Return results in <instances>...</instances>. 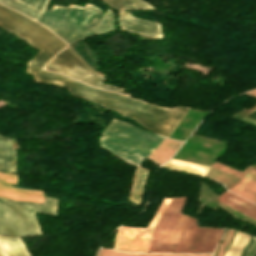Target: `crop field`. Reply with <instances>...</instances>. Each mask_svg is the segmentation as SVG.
Instances as JSON below:
<instances>
[{"instance_id": "obj_1", "label": "crop field", "mask_w": 256, "mask_h": 256, "mask_svg": "<svg viewBox=\"0 0 256 256\" xmlns=\"http://www.w3.org/2000/svg\"><path fill=\"white\" fill-rule=\"evenodd\" d=\"M34 75L35 82L51 83L71 89V94L81 96L100 105L113 109L123 116L134 118L145 128L168 137L187 108L165 109L110 92L101 91L74 79L35 68H27Z\"/></svg>"}, {"instance_id": "obj_2", "label": "crop field", "mask_w": 256, "mask_h": 256, "mask_svg": "<svg viewBox=\"0 0 256 256\" xmlns=\"http://www.w3.org/2000/svg\"><path fill=\"white\" fill-rule=\"evenodd\" d=\"M186 198L172 199L156 225L149 251L213 252L222 230L198 229L196 219L182 214Z\"/></svg>"}, {"instance_id": "obj_3", "label": "crop field", "mask_w": 256, "mask_h": 256, "mask_svg": "<svg viewBox=\"0 0 256 256\" xmlns=\"http://www.w3.org/2000/svg\"><path fill=\"white\" fill-rule=\"evenodd\" d=\"M102 14V10L88 3L85 7L54 5L51 11L46 9L45 14L38 22L70 44L79 37L82 40L93 33L106 34L113 30L114 16L111 10H108L101 18ZM97 22V25L88 30Z\"/></svg>"}, {"instance_id": "obj_4", "label": "crop field", "mask_w": 256, "mask_h": 256, "mask_svg": "<svg viewBox=\"0 0 256 256\" xmlns=\"http://www.w3.org/2000/svg\"><path fill=\"white\" fill-rule=\"evenodd\" d=\"M163 139L113 118L100 137V145L130 163L140 164Z\"/></svg>"}, {"instance_id": "obj_5", "label": "crop field", "mask_w": 256, "mask_h": 256, "mask_svg": "<svg viewBox=\"0 0 256 256\" xmlns=\"http://www.w3.org/2000/svg\"><path fill=\"white\" fill-rule=\"evenodd\" d=\"M0 27L12 30L24 37L34 47L41 51L27 63L30 66L42 68L66 44L41 25L0 5Z\"/></svg>"}, {"instance_id": "obj_6", "label": "crop field", "mask_w": 256, "mask_h": 256, "mask_svg": "<svg viewBox=\"0 0 256 256\" xmlns=\"http://www.w3.org/2000/svg\"><path fill=\"white\" fill-rule=\"evenodd\" d=\"M57 200L46 198L45 205L0 198V235L22 237L40 234L34 212L56 214Z\"/></svg>"}, {"instance_id": "obj_7", "label": "crop field", "mask_w": 256, "mask_h": 256, "mask_svg": "<svg viewBox=\"0 0 256 256\" xmlns=\"http://www.w3.org/2000/svg\"><path fill=\"white\" fill-rule=\"evenodd\" d=\"M44 69L52 70L78 79L84 83L92 86L121 93L123 88L116 86L102 84L105 77L94 73L91 68L69 47L60 51L46 66ZM128 96V95H127Z\"/></svg>"}, {"instance_id": "obj_8", "label": "crop field", "mask_w": 256, "mask_h": 256, "mask_svg": "<svg viewBox=\"0 0 256 256\" xmlns=\"http://www.w3.org/2000/svg\"><path fill=\"white\" fill-rule=\"evenodd\" d=\"M170 201V198H165L148 229L119 227L114 249L131 252H148L153 229Z\"/></svg>"}, {"instance_id": "obj_9", "label": "crop field", "mask_w": 256, "mask_h": 256, "mask_svg": "<svg viewBox=\"0 0 256 256\" xmlns=\"http://www.w3.org/2000/svg\"><path fill=\"white\" fill-rule=\"evenodd\" d=\"M114 8H120L119 25L128 31H134L160 38L159 25L134 19L123 9H151L140 0H104Z\"/></svg>"}, {"instance_id": "obj_10", "label": "crop field", "mask_w": 256, "mask_h": 256, "mask_svg": "<svg viewBox=\"0 0 256 256\" xmlns=\"http://www.w3.org/2000/svg\"><path fill=\"white\" fill-rule=\"evenodd\" d=\"M213 167L241 178L230 191L256 203V170L249 167L244 173L216 162Z\"/></svg>"}, {"instance_id": "obj_11", "label": "crop field", "mask_w": 256, "mask_h": 256, "mask_svg": "<svg viewBox=\"0 0 256 256\" xmlns=\"http://www.w3.org/2000/svg\"><path fill=\"white\" fill-rule=\"evenodd\" d=\"M18 175L4 174L0 172V197L42 203L44 200V192L17 189L10 187L17 185Z\"/></svg>"}, {"instance_id": "obj_12", "label": "crop field", "mask_w": 256, "mask_h": 256, "mask_svg": "<svg viewBox=\"0 0 256 256\" xmlns=\"http://www.w3.org/2000/svg\"><path fill=\"white\" fill-rule=\"evenodd\" d=\"M15 1H17L21 4H24L28 7H31L33 9L39 11V12H37V11L31 9V8H28L24 5H21L17 2H15ZM15 1H13V0H0V3L14 9V10H16V11H18V12L34 19V20H36V21L43 14V12H44V10H45L48 2H49V0H15Z\"/></svg>"}, {"instance_id": "obj_13", "label": "crop field", "mask_w": 256, "mask_h": 256, "mask_svg": "<svg viewBox=\"0 0 256 256\" xmlns=\"http://www.w3.org/2000/svg\"><path fill=\"white\" fill-rule=\"evenodd\" d=\"M182 143L165 138L147 158L161 165L173 156Z\"/></svg>"}, {"instance_id": "obj_14", "label": "crop field", "mask_w": 256, "mask_h": 256, "mask_svg": "<svg viewBox=\"0 0 256 256\" xmlns=\"http://www.w3.org/2000/svg\"><path fill=\"white\" fill-rule=\"evenodd\" d=\"M0 171L15 172L14 148L9 139L0 137Z\"/></svg>"}, {"instance_id": "obj_15", "label": "crop field", "mask_w": 256, "mask_h": 256, "mask_svg": "<svg viewBox=\"0 0 256 256\" xmlns=\"http://www.w3.org/2000/svg\"><path fill=\"white\" fill-rule=\"evenodd\" d=\"M219 201L256 219V206L245 200H242L227 192L220 196Z\"/></svg>"}, {"instance_id": "obj_16", "label": "crop field", "mask_w": 256, "mask_h": 256, "mask_svg": "<svg viewBox=\"0 0 256 256\" xmlns=\"http://www.w3.org/2000/svg\"><path fill=\"white\" fill-rule=\"evenodd\" d=\"M149 170L136 167L135 177L133 179L129 200L135 204H140L143 187Z\"/></svg>"}, {"instance_id": "obj_17", "label": "crop field", "mask_w": 256, "mask_h": 256, "mask_svg": "<svg viewBox=\"0 0 256 256\" xmlns=\"http://www.w3.org/2000/svg\"><path fill=\"white\" fill-rule=\"evenodd\" d=\"M0 244L7 256H29L20 238L0 236Z\"/></svg>"}, {"instance_id": "obj_18", "label": "crop field", "mask_w": 256, "mask_h": 256, "mask_svg": "<svg viewBox=\"0 0 256 256\" xmlns=\"http://www.w3.org/2000/svg\"><path fill=\"white\" fill-rule=\"evenodd\" d=\"M161 167L187 171V172L196 173L200 175H204L209 168L208 166L193 164V163L174 160V159H171L169 162H167Z\"/></svg>"}, {"instance_id": "obj_19", "label": "crop field", "mask_w": 256, "mask_h": 256, "mask_svg": "<svg viewBox=\"0 0 256 256\" xmlns=\"http://www.w3.org/2000/svg\"><path fill=\"white\" fill-rule=\"evenodd\" d=\"M249 239H250V236L239 232L237 237L236 238L234 237L230 247L228 248L224 256H240L242 250L248 243Z\"/></svg>"}, {"instance_id": "obj_20", "label": "crop field", "mask_w": 256, "mask_h": 256, "mask_svg": "<svg viewBox=\"0 0 256 256\" xmlns=\"http://www.w3.org/2000/svg\"><path fill=\"white\" fill-rule=\"evenodd\" d=\"M207 177H210L216 181H219L221 183H223L224 185H226L227 187H231L236 181L239 180V178L234 177L230 174H227L225 172H222L218 169H215L213 167L210 168V170L207 172V174L205 175Z\"/></svg>"}, {"instance_id": "obj_21", "label": "crop field", "mask_w": 256, "mask_h": 256, "mask_svg": "<svg viewBox=\"0 0 256 256\" xmlns=\"http://www.w3.org/2000/svg\"><path fill=\"white\" fill-rule=\"evenodd\" d=\"M97 256H211L206 255H168V254H130L101 248Z\"/></svg>"}, {"instance_id": "obj_22", "label": "crop field", "mask_w": 256, "mask_h": 256, "mask_svg": "<svg viewBox=\"0 0 256 256\" xmlns=\"http://www.w3.org/2000/svg\"><path fill=\"white\" fill-rule=\"evenodd\" d=\"M234 232H235L234 230L226 229L224 238H223L215 256H222L223 255V253H224L228 243L230 242Z\"/></svg>"}, {"instance_id": "obj_23", "label": "crop field", "mask_w": 256, "mask_h": 256, "mask_svg": "<svg viewBox=\"0 0 256 256\" xmlns=\"http://www.w3.org/2000/svg\"><path fill=\"white\" fill-rule=\"evenodd\" d=\"M255 242H256V238L253 237V238L251 239V241H250V243H249L247 249L245 250L243 256H247V254H248L250 248L253 246V244H254ZM251 249H252V248H251ZM250 256H256V245H255V247H254L252 253L250 254Z\"/></svg>"}, {"instance_id": "obj_24", "label": "crop field", "mask_w": 256, "mask_h": 256, "mask_svg": "<svg viewBox=\"0 0 256 256\" xmlns=\"http://www.w3.org/2000/svg\"><path fill=\"white\" fill-rule=\"evenodd\" d=\"M248 117L256 120V108L248 115Z\"/></svg>"}, {"instance_id": "obj_25", "label": "crop field", "mask_w": 256, "mask_h": 256, "mask_svg": "<svg viewBox=\"0 0 256 256\" xmlns=\"http://www.w3.org/2000/svg\"><path fill=\"white\" fill-rule=\"evenodd\" d=\"M246 93L256 97V89L248 91Z\"/></svg>"}, {"instance_id": "obj_26", "label": "crop field", "mask_w": 256, "mask_h": 256, "mask_svg": "<svg viewBox=\"0 0 256 256\" xmlns=\"http://www.w3.org/2000/svg\"><path fill=\"white\" fill-rule=\"evenodd\" d=\"M0 256H5L4 252L2 251L1 247H0Z\"/></svg>"}, {"instance_id": "obj_27", "label": "crop field", "mask_w": 256, "mask_h": 256, "mask_svg": "<svg viewBox=\"0 0 256 256\" xmlns=\"http://www.w3.org/2000/svg\"><path fill=\"white\" fill-rule=\"evenodd\" d=\"M253 167H255V168H256V166H253Z\"/></svg>"}]
</instances>
